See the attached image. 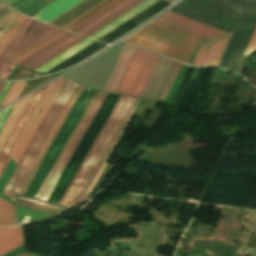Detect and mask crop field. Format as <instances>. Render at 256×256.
<instances>
[{"mask_svg": "<svg viewBox=\"0 0 256 256\" xmlns=\"http://www.w3.org/2000/svg\"><path fill=\"white\" fill-rule=\"evenodd\" d=\"M16 212L19 224L31 223L47 215L46 213L23 209L17 206Z\"/></svg>", "mask_w": 256, "mask_h": 256, "instance_id": "obj_31", "label": "crop field"}, {"mask_svg": "<svg viewBox=\"0 0 256 256\" xmlns=\"http://www.w3.org/2000/svg\"><path fill=\"white\" fill-rule=\"evenodd\" d=\"M255 26L231 33L232 36L217 65L218 67L236 71Z\"/></svg>", "mask_w": 256, "mask_h": 256, "instance_id": "obj_10", "label": "crop field"}, {"mask_svg": "<svg viewBox=\"0 0 256 256\" xmlns=\"http://www.w3.org/2000/svg\"><path fill=\"white\" fill-rule=\"evenodd\" d=\"M135 100L136 98L120 96L107 123L68 186L59 205L71 208L77 204L91 176L98 168L114 137L121 128Z\"/></svg>", "mask_w": 256, "mask_h": 256, "instance_id": "obj_2", "label": "crop field"}, {"mask_svg": "<svg viewBox=\"0 0 256 256\" xmlns=\"http://www.w3.org/2000/svg\"><path fill=\"white\" fill-rule=\"evenodd\" d=\"M168 1H171V2H173V1H175V0H168Z\"/></svg>", "mask_w": 256, "mask_h": 256, "instance_id": "obj_53", "label": "crop field"}, {"mask_svg": "<svg viewBox=\"0 0 256 256\" xmlns=\"http://www.w3.org/2000/svg\"><path fill=\"white\" fill-rule=\"evenodd\" d=\"M23 244L22 226L0 228V256Z\"/></svg>", "mask_w": 256, "mask_h": 256, "instance_id": "obj_18", "label": "crop field"}, {"mask_svg": "<svg viewBox=\"0 0 256 256\" xmlns=\"http://www.w3.org/2000/svg\"><path fill=\"white\" fill-rule=\"evenodd\" d=\"M104 46H105V44H101V43L95 42V43L91 44L90 46H88L87 48L83 49L82 51L78 52L74 56H72L69 59L65 60L61 64H59L56 67L52 68L51 70H49L46 73L60 71V70H63L65 68L69 67V66H72V65H74V64L84 60L85 58L90 56L92 53H94L95 51L99 50L100 48H102Z\"/></svg>", "mask_w": 256, "mask_h": 256, "instance_id": "obj_24", "label": "crop field"}, {"mask_svg": "<svg viewBox=\"0 0 256 256\" xmlns=\"http://www.w3.org/2000/svg\"><path fill=\"white\" fill-rule=\"evenodd\" d=\"M98 94H99V92L97 93V95H96L95 99L97 98ZM95 99H94V101H95ZM94 101H93V103H94ZM93 103H92V105H93ZM90 105H91V104H90ZM92 105L90 106V108L92 107ZM90 108L87 110V112H86L85 116L83 117V119H82L81 123L83 122V120H84V118L86 117L87 113L89 112ZM81 123L79 124L78 128L76 129L75 133L73 134V136H72L71 140L69 141V143H68L67 147L69 146L70 142L72 141V139L74 138L75 134L77 133V131H78V129H79V127H80ZM67 147H66V149H67ZM66 149L64 150V152H63L62 156L60 157V159H59L58 163L56 164L55 168L53 169V171H52V173H51V175H50V177H49L48 181L50 180V178H51L52 174L54 173V171H55L56 167L58 166V164H59V162H60L61 158L63 157V155H64V153H65ZM48 181H47V183H48ZM47 183H46V185H47ZM46 185H45V187H46ZM45 187H44V189H45ZM44 189L42 190V192H41V194H40L39 198L41 197V195H42V193H43Z\"/></svg>", "mask_w": 256, "mask_h": 256, "instance_id": "obj_42", "label": "crop field"}, {"mask_svg": "<svg viewBox=\"0 0 256 256\" xmlns=\"http://www.w3.org/2000/svg\"><path fill=\"white\" fill-rule=\"evenodd\" d=\"M77 86L78 83L67 80L66 84L54 100L53 104L51 105L50 109L48 110L38 129L36 130L33 138L31 139L28 147L23 153L19 163L17 164L19 174L15 181L16 194L18 193L24 179L29 173L41 147L46 141L53 126L57 122L65 105L67 104L68 100L70 99Z\"/></svg>", "mask_w": 256, "mask_h": 256, "instance_id": "obj_4", "label": "crop field"}, {"mask_svg": "<svg viewBox=\"0 0 256 256\" xmlns=\"http://www.w3.org/2000/svg\"><path fill=\"white\" fill-rule=\"evenodd\" d=\"M181 66L160 55L140 97L164 103Z\"/></svg>", "mask_w": 256, "mask_h": 256, "instance_id": "obj_8", "label": "crop field"}, {"mask_svg": "<svg viewBox=\"0 0 256 256\" xmlns=\"http://www.w3.org/2000/svg\"><path fill=\"white\" fill-rule=\"evenodd\" d=\"M70 35H72V33H64L61 36H59L58 38L54 39L53 41L49 42L48 44L44 45L43 47H41L40 49L36 50L35 52L31 53L30 55L26 56L25 58H23L22 60L18 61L17 63H15L16 65H24L27 62H29L30 60L34 59L35 57H37L38 55L42 54L43 52H45L46 50L50 49L51 47H53L54 45L58 44L59 42H61L62 40L66 39L67 37H69Z\"/></svg>", "mask_w": 256, "mask_h": 256, "instance_id": "obj_30", "label": "crop field"}, {"mask_svg": "<svg viewBox=\"0 0 256 256\" xmlns=\"http://www.w3.org/2000/svg\"><path fill=\"white\" fill-rule=\"evenodd\" d=\"M33 95V94H32ZM28 96L27 98L23 99L22 101L18 102L15 104L1 134H0V147L2 148L3 144L5 143V141L7 140L14 124L16 123V121L18 120L22 110L24 109V107L27 105L29 99L31 98V96Z\"/></svg>", "mask_w": 256, "mask_h": 256, "instance_id": "obj_25", "label": "crop field"}, {"mask_svg": "<svg viewBox=\"0 0 256 256\" xmlns=\"http://www.w3.org/2000/svg\"><path fill=\"white\" fill-rule=\"evenodd\" d=\"M83 89H84V86H82V85H80L79 84V86L77 87V89H76V91L74 92V94L75 93H77L78 95H77V97H76V94H75V96H74V94L72 95V97H71V99H70V101L68 102V104H67V106H66V108L64 109V111H63V113H62V115H61V117L59 118V120H58V122L56 123V125H55V127H54V129L52 130V132H51V134H50V136H49V138H48V140L46 141V143H45V145H44V147L42 148V150H41V152H40V154L38 155V157H37V159H36V161H35V163H34V165H33V167H32V169H31V171H30V173H29V175H28V177H27V179H26V181H25V183L23 184V186H22V188H24V186H25V184H26V182L28 181V179H29V177H30V175H31V173H32V171H33V169H34V166H35V164H36V162H37V160L39 159V157H40V155H41V153L43 152V150H44V148L46 147V145H47V143H48V141H49V139H50V137H51V135H52V133H53V131L55 130V128H56V126L58 125V123L60 122V120H61V118L63 117V115H64V113H65V111H66V109L68 108V106H69V104H70V102H71V100H72V98H73V96H74V98H73V100L75 99V97H76V99H75V101L73 102V100H72V102H73V104H72V102H71V104H72V106H71V104H70V109H69V111H68V109H67V111H68V113L66 114V116H65V118L63 119V121H62V123L65 121V119L67 118V116H68V114H69V112H70V110L72 109V107H73V105H74V103L76 102V100H77V98H78V96H79V94L83 91ZM66 111V112H67ZM61 123V122H60ZM59 123V124H60ZM62 123H61V125H62ZM61 125L59 126V128H58V126H57V128H58V130H57V128H56V133H55V131H54V133H55V135H54V133H53V135H54V137L56 136V134H57V132L59 131V129H60V127H61ZM53 135H52V137H53ZM52 137H51V139H52ZM54 137H53V139H54ZM50 139V140H51ZM53 139L51 140V142L53 141ZM50 142V141H49ZM51 142H50V144H51ZM49 144V143H48ZM50 144H49V146H50ZM48 146V145H47ZM49 146H48V148H49ZM47 148V147H46ZM45 148V149H46ZM47 148V149H48ZM47 149H46V151H47ZM45 151V150H44ZM46 151H45V153H46ZM44 153V152H43ZM45 153H44V155H45ZM43 155V154H42ZM42 155H41V157H42ZM44 155H43V157H44ZM41 157H40V159H41ZM43 157H42V159H43ZM39 159V160H40ZM41 159V160H42ZM39 162V161H38ZM41 162V161H40ZM38 164V163H37ZM40 164V163H39ZM37 166V165H36ZM39 166V165H38ZM36 168V167H35ZM38 168V167H37ZM37 168H36V170H37ZM35 170V169H34ZM36 170H35V172H36ZM34 172V171H33ZM35 172H34V174H35ZM33 174V173H32ZM34 174L32 175V177H31V179H30V181L28 182V184H27V186H26V189L28 188V186H29V184H30V182H31V180H32V178H33V176H34ZM26 189H21L20 190V192H19V194H21V195H24V193H25V191H26Z\"/></svg>", "mask_w": 256, "mask_h": 256, "instance_id": "obj_23", "label": "crop field"}, {"mask_svg": "<svg viewBox=\"0 0 256 256\" xmlns=\"http://www.w3.org/2000/svg\"><path fill=\"white\" fill-rule=\"evenodd\" d=\"M135 48V46L125 44L103 91L116 92Z\"/></svg>", "mask_w": 256, "mask_h": 256, "instance_id": "obj_16", "label": "crop field"}, {"mask_svg": "<svg viewBox=\"0 0 256 256\" xmlns=\"http://www.w3.org/2000/svg\"><path fill=\"white\" fill-rule=\"evenodd\" d=\"M112 1L113 0H106V1H104L103 3L99 4L98 6H96L92 10H90L89 12L85 13L84 15H82L81 17H79L78 19L73 21L72 23H70L67 26H65L63 29H65V28L70 29L71 27H73L74 25L78 24L79 22H81L82 20H84L85 18H87L91 14L95 13L96 11H98L99 9H101L102 7H104L105 5L109 4Z\"/></svg>", "mask_w": 256, "mask_h": 256, "instance_id": "obj_41", "label": "crop field"}, {"mask_svg": "<svg viewBox=\"0 0 256 256\" xmlns=\"http://www.w3.org/2000/svg\"><path fill=\"white\" fill-rule=\"evenodd\" d=\"M65 82L66 80L64 79H58L49 84L48 88L46 89L30 118L24 125L14 147L8 153L14 159L16 164L22 153L24 152L25 148L27 147L39 123L41 122L42 118L44 117L55 97L60 92Z\"/></svg>", "mask_w": 256, "mask_h": 256, "instance_id": "obj_9", "label": "crop field"}, {"mask_svg": "<svg viewBox=\"0 0 256 256\" xmlns=\"http://www.w3.org/2000/svg\"><path fill=\"white\" fill-rule=\"evenodd\" d=\"M254 50H256V28H255V30H254V33H253V35H252V38H251V40H250V42H249V45H248V47H247V50H246L245 54H247V53H249V52H252V51H254ZM245 54H244V55H245Z\"/></svg>", "mask_w": 256, "mask_h": 256, "instance_id": "obj_44", "label": "crop field"}, {"mask_svg": "<svg viewBox=\"0 0 256 256\" xmlns=\"http://www.w3.org/2000/svg\"><path fill=\"white\" fill-rule=\"evenodd\" d=\"M169 11L226 32L256 24V0H183Z\"/></svg>", "mask_w": 256, "mask_h": 256, "instance_id": "obj_1", "label": "crop field"}, {"mask_svg": "<svg viewBox=\"0 0 256 256\" xmlns=\"http://www.w3.org/2000/svg\"><path fill=\"white\" fill-rule=\"evenodd\" d=\"M93 93H94V90H91V89H88L85 87L84 91L80 94V96H79L77 102L75 103L73 109L71 110L68 118L66 119L65 123L63 124V126L61 127L57 136L55 137L53 143L51 144L46 156L44 157L32 183L30 184L27 192L25 193V195L34 197V195L37 192L38 188L40 187L44 177L46 176L47 172L49 171L52 164L54 163V161H55L59 151L61 150L66 138L68 137L71 129L73 128L74 124L76 123L79 116L83 112L86 104L90 100Z\"/></svg>", "mask_w": 256, "mask_h": 256, "instance_id": "obj_6", "label": "crop field"}, {"mask_svg": "<svg viewBox=\"0 0 256 256\" xmlns=\"http://www.w3.org/2000/svg\"><path fill=\"white\" fill-rule=\"evenodd\" d=\"M1 150V149H0Z\"/></svg>", "mask_w": 256, "mask_h": 256, "instance_id": "obj_54", "label": "crop field"}, {"mask_svg": "<svg viewBox=\"0 0 256 256\" xmlns=\"http://www.w3.org/2000/svg\"><path fill=\"white\" fill-rule=\"evenodd\" d=\"M85 37H78L77 39L73 40L72 42H70L69 44H67L66 46L62 47L61 49H59L58 51H56L55 53L51 54L50 56H48L47 58L43 59L42 61H40L39 63H37L36 65L32 66L29 69L35 70L38 67L42 66L43 64H45L46 62H48L49 60L53 59L54 57H56L57 55H59L60 53L64 52L65 50H67L68 48L72 47L73 45H75L76 43H78L79 41L83 40Z\"/></svg>", "mask_w": 256, "mask_h": 256, "instance_id": "obj_39", "label": "crop field"}, {"mask_svg": "<svg viewBox=\"0 0 256 256\" xmlns=\"http://www.w3.org/2000/svg\"><path fill=\"white\" fill-rule=\"evenodd\" d=\"M80 1L82 0H56L40 10L36 19L48 23Z\"/></svg>", "mask_w": 256, "mask_h": 256, "instance_id": "obj_21", "label": "crop field"}, {"mask_svg": "<svg viewBox=\"0 0 256 256\" xmlns=\"http://www.w3.org/2000/svg\"><path fill=\"white\" fill-rule=\"evenodd\" d=\"M27 17L21 15L19 19L10 27V29L3 35V37L0 39V52L4 49L6 44L9 42L11 37L14 35V33L17 31V29L20 27V25L24 22V20ZM13 38V37H12Z\"/></svg>", "mask_w": 256, "mask_h": 256, "instance_id": "obj_34", "label": "crop field"}, {"mask_svg": "<svg viewBox=\"0 0 256 256\" xmlns=\"http://www.w3.org/2000/svg\"><path fill=\"white\" fill-rule=\"evenodd\" d=\"M25 83H26V81L15 82L14 83V85H13V87H12V89H11V91H10V93H9V95H8V97H7L3 106H5V105H7V104H9V103L18 99Z\"/></svg>", "mask_w": 256, "mask_h": 256, "instance_id": "obj_40", "label": "crop field"}, {"mask_svg": "<svg viewBox=\"0 0 256 256\" xmlns=\"http://www.w3.org/2000/svg\"><path fill=\"white\" fill-rule=\"evenodd\" d=\"M124 44V42L118 43L96 58L65 74L64 78L102 91Z\"/></svg>", "mask_w": 256, "mask_h": 256, "instance_id": "obj_5", "label": "crop field"}, {"mask_svg": "<svg viewBox=\"0 0 256 256\" xmlns=\"http://www.w3.org/2000/svg\"><path fill=\"white\" fill-rule=\"evenodd\" d=\"M171 2L165 1V0H158L145 10L141 11L113 31L109 32L102 38H100L98 41L104 42L109 44L113 40L117 39L124 33L128 32L129 30L133 29L134 27L138 26L141 24L143 21H145L147 18L150 16L156 14L157 12L161 11L164 9L167 5H169Z\"/></svg>", "mask_w": 256, "mask_h": 256, "instance_id": "obj_13", "label": "crop field"}, {"mask_svg": "<svg viewBox=\"0 0 256 256\" xmlns=\"http://www.w3.org/2000/svg\"><path fill=\"white\" fill-rule=\"evenodd\" d=\"M94 41L86 38L83 41L79 42L78 44H76L75 46H73L72 48L68 49L67 51H65L64 53H62L61 55L57 56L56 58H54L53 60L49 61L48 63H46L45 65H43L42 67L38 68L36 71L39 72H46L49 69H51L52 67L56 66L57 64L61 63L62 61H64L65 59L69 58L70 56L74 55L75 53H77L78 51L82 50L83 48L87 47L88 45H90L91 43H93Z\"/></svg>", "mask_w": 256, "mask_h": 256, "instance_id": "obj_26", "label": "crop field"}, {"mask_svg": "<svg viewBox=\"0 0 256 256\" xmlns=\"http://www.w3.org/2000/svg\"><path fill=\"white\" fill-rule=\"evenodd\" d=\"M26 253V252H25ZM25 253H23V254H21V255H19V256H29V255H27V254H25Z\"/></svg>", "mask_w": 256, "mask_h": 256, "instance_id": "obj_52", "label": "crop field"}, {"mask_svg": "<svg viewBox=\"0 0 256 256\" xmlns=\"http://www.w3.org/2000/svg\"><path fill=\"white\" fill-rule=\"evenodd\" d=\"M9 161H10V158L8 159L6 165L8 164ZM6 165L4 166V168L6 167ZM4 168H3V170H4ZM3 170H2V172H3ZM2 172H1V174H2ZM1 174H0V176H1Z\"/></svg>", "mask_w": 256, "mask_h": 256, "instance_id": "obj_51", "label": "crop field"}, {"mask_svg": "<svg viewBox=\"0 0 256 256\" xmlns=\"http://www.w3.org/2000/svg\"><path fill=\"white\" fill-rule=\"evenodd\" d=\"M156 21L204 37L209 40H212L226 33L169 11H167L165 14L157 18Z\"/></svg>", "mask_w": 256, "mask_h": 256, "instance_id": "obj_11", "label": "crop field"}, {"mask_svg": "<svg viewBox=\"0 0 256 256\" xmlns=\"http://www.w3.org/2000/svg\"><path fill=\"white\" fill-rule=\"evenodd\" d=\"M5 85V83H0V91L3 88V86ZM3 90V89H2ZM2 92V91H1Z\"/></svg>", "mask_w": 256, "mask_h": 256, "instance_id": "obj_50", "label": "crop field"}, {"mask_svg": "<svg viewBox=\"0 0 256 256\" xmlns=\"http://www.w3.org/2000/svg\"><path fill=\"white\" fill-rule=\"evenodd\" d=\"M10 83H11V82H9V83L6 84V86H5L4 90H3V92L1 93V95H0V103H1V101H2V99H3V97H4L5 93H6V91H7V89H8Z\"/></svg>", "mask_w": 256, "mask_h": 256, "instance_id": "obj_46", "label": "crop field"}, {"mask_svg": "<svg viewBox=\"0 0 256 256\" xmlns=\"http://www.w3.org/2000/svg\"><path fill=\"white\" fill-rule=\"evenodd\" d=\"M54 0H45V3L43 5V7H45L46 5L50 4L51 2H53ZM42 7V8H43Z\"/></svg>", "mask_w": 256, "mask_h": 256, "instance_id": "obj_48", "label": "crop field"}, {"mask_svg": "<svg viewBox=\"0 0 256 256\" xmlns=\"http://www.w3.org/2000/svg\"><path fill=\"white\" fill-rule=\"evenodd\" d=\"M139 101H140V99L139 98H137V100H136V102H135V104L133 105V107H132V109H131V111H130V113H129V115H128V117H127V119H126V121H125V123H124V125L122 126V128L120 129V131H119V133L117 134V136L115 137V139H114V141H113V143H112V145L110 146V148H109V150H108V152L106 153V155H105V157H104V159L102 160V162H101V164H100V166H99V168L97 169V171L94 173V175L92 176V178H91V180H90V182H89V184L87 185V187H86V189H85V191H84V193H83V195H82V197H81V199H80V201H79V203H81L82 201H84L85 200V198H86V196L88 195V192H90L91 191V189H92V187L94 186V184H95V182L97 181V179H98V177L100 176V174H101V172L103 171V169L105 168V166H106V161H107V159H108V157H109V155H110V153H111V148H112V146H113V144H114V142H115V140H116V138L118 137H120V135L122 134V132H123V130H124V128H125V126L127 125V123H128V121H129V119L131 118V116H132V114H133V112H134V110H135V108L137 107V105H138V103H139ZM117 138V139H118ZM117 141V140H116ZM116 143V142H115ZM115 147V146H114ZM109 151H110V153H109ZM108 153H109V155H108ZM108 155V157L106 158V156ZM105 158H106V160H105ZM104 160H105V162H104ZM104 162V164L102 165V163ZM101 165H102V167H101ZM100 167H101V169H100ZM100 169V170H99ZM98 170H99V172H98ZM97 172H98V174H97ZM97 174V175H96ZM95 175H96V177H95ZM94 177H95V179H94ZM93 179H94V181H93ZM93 181V182H92ZM91 182H92V184H91ZM90 184H91V186H90ZM90 186V187H89ZM88 187H89V189H88ZM87 189H88V192H86L87 191ZM78 203V204H79Z\"/></svg>", "mask_w": 256, "mask_h": 256, "instance_id": "obj_27", "label": "crop field"}, {"mask_svg": "<svg viewBox=\"0 0 256 256\" xmlns=\"http://www.w3.org/2000/svg\"><path fill=\"white\" fill-rule=\"evenodd\" d=\"M15 167H16V165H15L14 161L11 159V161H10L9 164L7 165L5 171H4V173H3V175H2V177H1V179H0V193H1V191L3 190V188L5 187L7 181H8V179L10 178V176H11L12 172L14 171ZM1 194H2V193H1ZM1 194H0V197H2V198H4V199H6V200H8V201H10V202H12V203H14V201H12L11 199H9V198H7V197L1 195Z\"/></svg>", "mask_w": 256, "mask_h": 256, "instance_id": "obj_38", "label": "crop field"}, {"mask_svg": "<svg viewBox=\"0 0 256 256\" xmlns=\"http://www.w3.org/2000/svg\"><path fill=\"white\" fill-rule=\"evenodd\" d=\"M103 1L104 0H83L49 24L62 28Z\"/></svg>", "mask_w": 256, "mask_h": 256, "instance_id": "obj_20", "label": "crop field"}, {"mask_svg": "<svg viewBox=\"0 0 256 256\" xmlns=\"http://www.w3.org/2000/svg\"><path fill=\"white\" fill-rule=\"evenodd\" d=\"M26 200H29V199H26ZM30 201H33V202H36V201H34V200H30ZM37 203H39V202H37ZM41 204H44V203H41ZM45 205H49V204H45ZM49 206H51V205H49ZM52 207H54V206H52ZM57 208V207H56ZM61 209V208H60ZM65 210V209H64Z\"/></svg>", "mask_w": 256, "mask_h": 256, "instance_id": "obj_49", "label": "crop field"}, {"mask_svg": "<svg viewBox=\"0 0 256 256\" xmlns=\"http://www.w3.org/2000/svg\"><path fill=\"white\" fill-rule=\"evenodd\" d=\"M59 29L60 28L35 21L26 38L23 40V42L21 41L22 43L19 45V47L17 46L18 48L15 50V52L13 51L14 53L7 59L6 62L13 59L17 55L21 54L25 50L29 49Z\"/></svg>", "mask_w": 256, "mask_h": 256, "instance_id": "obj_15", "label": "crop field"}, {"mask_svg": "<svg viewBox=\"0 0 256 256\" xmlns=\"http://www.w3.org/2000/svg\"><path fill=\"white\" fill-rule=\"evenodd\" d=\"M17 224L14 205L0 198V226Z\"/></svg>", "mask_w": 256, "mask_h": 256, "instance_id": "obj_29", "label": "crop field"}, {"mask_svg": "<svg viewBox=\"0 0 256 256\" xmlns=\"http://www.w3.org/2000/svg\"><path fill=\"white\" fill-rule=\"evenodd\" d=\"M158 56L137 47L116 93L139 97Z\"/></svg>", "mask_w": 256, "mask_h": 256, "instance_id": "obj_7", "label": "crop field"}, {"mask_svg": "<svg viewBox=\"0 0 256 256\" xmlns=\"http://www.w3.org/2000/svg\"><path fill=\"white\" fill-rule=\"evenodd\" d=\"M33 19L27 18L22 27L16 33L11 42L6 46V48L0 54V80H8L14 66L5 64L6 58L12 52V50L16 47V45L21 41V39L25 36L27 30L31 26Z\"/></svg>", "mask_w": 256, "mask_h": 256, "instance_id": "obj_17", "label": "crop field"}, {"mask_svg": "<svg viewBox=\"0 0 256 256\" xmlns=\"http://www.w3.org/2000/svg\"><path fill=\"white\" fill-rule=\"evenodd\" d=\"M12 84H13V82L11 83V85H10V87H9V89H8V91H7V93H6L5 97H4V99H3L2 103H1V105H0V109H1V107H2V105H3V103H4V100H5V98H6L7 94H8V92H9V90H10Z\"/></svg>", "mask_w": 256, "mask_h": 256, "instance_id": "obj_47", "label": "crop field"}, {"mask_svg": "<svg viewBox=\"0 0 256 256\" xmlns=\"http://www.w3.org/2000/svg\"><path fill=\"white\" fill-rule=\"evenodd\" d=\"M20 16L0 1V38Z\"/></svg>", "mask_w": 256, "mask_h": 256, "instance_id": "obj_28", "label": "crop field"}, {"mask_svg": "<svg viewBox=\"0 0 256 256\" xmlns=\"http://www.w3.org/2000/svg\"><path fill=\"white\" fill-rule=\"evenodd\" d=\"M142 1L143 0H136V1H134L130 5L126 6L125 8H123L122 10H120L119 12H117L116 14H114L113 16H111L110 18H108L107 20L102 22L101 24H99L98 26L94 27L93 29H91L90 31L85 33L83 36H86V37L90 36L91 34L96 32L97 30H99L103 26L107 25L108 23H110L111 21H113L114 19H116L117 17H119L120 15H122L123 13H125L126 11H128L129 9H131L132 7H134L135 5L139 4Z\"/></svg>", "mask_w": 256, "mask_h": 256, "instance_id": "obj_33", "label": "crop field"}, {"mask_svg": "<svg viewBox=\"0 0 256 256\" xmlns=\"http://www.w3.org/2000/svg\"><path fill=\"white\" fill-rule=\"evenodd\" d=\"M133 1L134 0L125 1L124 3L120 4L119 6H117L116 8H114L113 10H111L110 12H108L107 14H105L104 16H102L101 18H99L92 24L88 25L87 27H85L84 29H82L81 31H79L76 34H80V35L84 34L85 32H87L88 30H90L91 28L96 26L97 24L101 23L102 21H104L105 19H107L108 17H110L111 15H113L114 13H116L117 11H119L120 9H122L123 7H125L126 5H128L129 3L133 2Z\"/></svg>", "mask_w": 256, "mask_h": 256, "instance_id": "obj_36", "label": "crop field"}, {"mask_svg": "<svg viewBox=\"0 0 256 256\" xmlns=\"http://www.w3.org/2000/svg\"><path fill=\"white\" fill-rule=\"evenodd\" d=\"M123 1H125V0H115V1H113L109 5L105 6L104 8H102L101 10L96 12L95 14L91 15L90 17H88L87 19H85L84 21L79 23L78 25H76L73 28H71L69 31H72L74 33L77 32L78 30H80L81 28L85 27L86 25H88L89 23H91L92 21L97 19L98 17L102 16L103 14H105L106 12L111 10L112 8H114L117 5H119L120 3H122Z\"/></svg>", "mask_w": 256, "mask_h": 256, "instance_id": "obj_32", "label": "crop field"}, {"mask_svg": "<svg viewBox=\"0 0 256 256\" xmlns=\"http://www.w3.org/2000/svg\"><path fill=\"white\" fill-rule=\"evenodd\" d=\"M66 31L64 30H59L58 32L54 33L53 35H51L50 37L46 38L45 40H43L42 42L38 43L37 45H35L34 47L30 48L29 50H27L26 52L22 53L21 55H19L18 57L14 58L13 60H11L10 62H8V64H13L15 62H17L18 60H20L21 58L25 57L26 55L30 54L31 52L35 51L36 49H38L39 47L43 46L44 44L48 43L49 41L53 40L54 38H56L57 36L61 35L62 33H64Z\"/></svg>", "mask_w": 256, "mask_h": 256, "instance_id": "obj_37", "label": "crop field"}, {"mask_svg": "<svg viewBox=\"0 0 256 256\" xmlns=\"http://www.w3.org/2000/svg\"><path fill=\"white\" fill-rule=\"evenodd\" d=\"M8 157L9 156L1 150V152H0V172L5 164L6 160L8 159Z\"/></svg>", "mask_w": 256, "mask_h": 256, "instance_id": "obj_45", "label": "crop field"}, {"mask_svg": "<svg viewBox=\"0 0 256 256\" xmlns=\"http://www.w3.org/2000/svg\"><path fill=\"white\" fill-rule=\"evenodd\" d=\"M47 86H45L44 88H42L39 91L34 93L32 99L30 100V102H29L28 106L26 107L24 113L22 112L23 113L22 116L20 117L18 122L15 124L8 140L6 141L5 145L2 148L7 153L13 147V145H14V143H15L22 127H23V125L25 124V122L29 118L30 114L32 113L33 109L35 108L36 104L38 103L39 99L41 98V96L44 93Z\"/></svg>", "mask_w": 256, "mask_h": 256, "instance_id": "obj_19", "label": "crop field"}, {"mask_svg": "<svg viewBox=\"0 0 256 256\" xmlns=\"http://www.w3.org/2000/svg\"><path fill=\"white\" fill-rule=\"evenodd\" d=\"M79 35H72L69 38H67L66 40L62 41L61 43H59L58 45L54 46L53 48H51L50 50L46 51L45 53H43L42 55L38 56L37 58H35L34 60L30 61L29 63H27L26 65H24L23 67H31L32 65L36 64L37 62H39L40 60H42L43 58L47 57L48 55H50L51 53H53L54 51L58 50L59 48H61L62 46L66 45L67 43H69L70 41H72L73 39L77 38Z\"/></svg>", "mask_w": 256, "mask_h": 256, "instance_id": "obj_35", "label": "crop field"}, {"mask_svg": "<svg viewBox=\"0 0 256 256\" xmlns=\"http://www.w3.org/2000/svg\"><path fill=\"white\" fill-rule=\"evenodd\" d=\"M13 106L9 107L8 109H6L0 113V131H1L2 127L4 126Z\"/></svg>", "mask_w": 256, "mask_h": 256, "instance_id": "obj_43", "label": "crop field"}, {"mask_svg": "<svg viewBox=\"0 0 256 256\" xmlns=\"http://www.w3.org/2000/svg\"><path fill=\"white\" fill-rule=\"evenodd\" d=\"M155 1H157V0H145V1H143L142 3L137 5L136 7L132 8L131 10H129L128 12H126L125 14H123L122 16H120L119 18H117L116 20H114L113 22L108 24L107 26H105L104 28L100 29L99 31H97L96 33L91 35L89 38H92V39H95V40L99 39L100 37H102L103 35H105L109 31H111L112 29L116 28L117 26H119L120 24H122L123 22H125L126 20H128L129 18H131L132 16H134L135 14H137L138 12L143 10L144 8H146L149 5H151L152 3H154Z\"/></svg>", "mask_w": 256, "mask_h": 256, "instance_id": "obj_22", "label": "crop field"}, {"mask_svg": "<svg viewBox=\"0 0 256 256\" xmlns=\"http://www.w3.org/2000/svg\"><path fill=\"white\" fill-rule=\"evenodd\" d=\"M108 94V93H107ZM106 93L101 92L99 97L97 98L96 102L94 103L93 107L91 108L90 112L88 113L86 119L84 120L83 124L81 125L77 135L75 136V138L73 139L72 143L70 144L67 152L65 153L62 161L60 162L56 172L54 173L53 177L51 178L47 188L45 189L41 200H47V198L49 197L50 193L52 192L60 174L62 173L66 163L68 162L71 154L73 153L74 149L76 148L77 144L79 143L82 135L84 134L85 130L87 129L88 125L90 124V122L92 121L93 117L95 116V114L97 113L104 97H105Z\"/></svg>", "mask_w": 256, "mask_h": 256, "instance_id": "obj_12", "label": "crop field"}, {"mask_svg": "<svg viewBox=\"0 0 256 256\" xmlns=\"http://www.w3.org/2000/svg\"><path fill=\"white\" fill-rule=\"evenodd\" d=\"M125 41L190 65L198 46L209 40L154 21Z\"/></svg>", "mask_w": 256, "mask_h": 256, "instance_id": "obj_3", "label": "crop field"}, {"mask_svg": "<svg viewBox=\"0 0 256 256\" xmlns=\"http://www.w3.org/2000/svg\"><path fill=\"white\" fill-rule=\"evenodd\" d=\"M230 36L231 33L203 45L200 48L193 65L216 66Z\"/></svg>", "mask_w": 256, "mask_h": 256, "instance_id": "obj_14", "label": "crop field"}]
</instances>
